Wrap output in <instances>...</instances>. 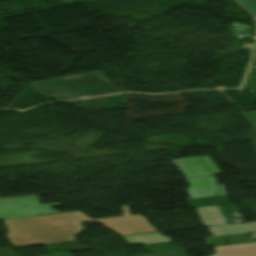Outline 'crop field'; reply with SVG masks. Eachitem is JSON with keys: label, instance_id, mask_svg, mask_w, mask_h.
Returning a JSON list of instances; mask_svg holds the SVG:
<instances>
[{"label": "crop field", "instance_id": "obj_1", "mask_svg": "<svg viewBox=\"0 0 256 256\" xmlns=\"http://www.w3.org/2000/svg\"><path fill=\"white\" fill-rule=\"evenodd\" d=\"M34 86L37 88L42 96L58 101L112 94L118 92L109 83L103 81L77 84L72 79H58L39 82Z\"/></svg>", "mask_w": 256, "mask_h": 256}, {"label": "crop field", "instance_id": "obj_2", "mask_svg": "<svg viewBox=\"0 0 256 256\" xmlns=\"http://www.w3.org/2000/svg\"><path fill=\"white\" fill-rule=\"evenodd\" d=\"M59 203L40 205L36 195L0 199V218L11 219L57 212L50 207ZM35 208V209H33Z\"/></svg>", "mask_w": 256, "mask_h": 256}, {"label": "crop field", "instance_id": "obj_3", "mask_svg": "<svg viewBox=\"0 0 256 256\" xmlns=\"http://www.w3.org/2000/svg\"><path fill=\"white\" fill-rule=\"evenodd\" d=\"M190 188L186 189L190 198L216 195V179L214 176L187 179ZM226 194L224 185H219L217 195Z\"/></svg>", "mask_w": 256, "mask_h": 256}, {"label": "crop field", "instance_id": "obj_4", "mask_svg": "<svg viewBox=\"0 0 256 256\" xmlns=\"http://www.w3.org/2000/svg\"><path fill=\"white\" fill-rule=\"evenodd\" d=\"M173 161L186 177L213 174L200 157L176 159Z\"/></svg>", "mask_w": 256, "mask_h": 256}, {"label": "crop field", "instance_id": "obj_5", "mask_svg": "<svg viewBox=\"0 0 256 256\" xmlns=\"http://www.w3.org/2000/svg\"><path fill=\"white\" fill-rule=\"evenodd\" d=\"M84 106L88 107H103L110 109L120 108V104L126 103L121 94L103 96L91 99L82 100Z\"/></svg>", "mask_w": 256, "mask_h": 256}, {"label": "crop field", "instance_id": "obj_6", "mask_svg": "<svg viewBox=\"0 0 256 256\" xmlns=\"http://www.w3.org/2000/svg\"><path fill=\"white\" fill-rule=\"evenodd\" d=\"M204 226L227 224L218 206L196 209Z\"/></svg>", "mask_w": 256, "mask_h": 256}, {"label": "crop field", "instance_id": "obj_7", "mask_svg": "<svg viewBox=\"0 0 256 256\" xmlns=\"http://www.w3.org/2000/svg\"><path fill=\"white\" fill-rule=\"evenodd\" d=\"M130 245L136 244H146L160 241L170 240L169 237H164L160 234H147V235H137V236H127L123 237Z\"/></svg>", "mask_w": 256, "mask_h": 256}, {"label": "crop field", "instance_id": "obj_8", "mask_svg": "<svg viewBox=\"0 0 256 256\" xmlns=\"http://www.w3.org/2000/svg\"><path fill=\"white\" fill-rule=\"evenodd\" d=\"M226 235L256 231V223L234 224L222 226Z\"/></svg>", "mask_w": 256, "mask_h": 256}, {"label": "crop field", "instance_id": "obj_9", "mask_svg": "<svg viewBox=\"0 0 256 256\" xmlns=\"http://www.w3.org/2000/svg\"><path fill=\"white\" fill-rule=\"evenodd\" d=\"M241 5L250 10L256 16V0H238Z\"/></svg>", "mask_w": 256, "mask_h": 256}, {"label": "crop field", "instance_id": "obj_10", "mask_svg": "<svg viewBox=\"0 0 256 256\" xmlns=\"http://www.w3.org/2000/svg\"><path fill=\"white\" fill-rule=\"evenodd\" d=\"M201 158L208 165V167L213 171L214 174L222 173L207 156L201 157Z\"/></svg>", "mask_w": 256, "mask_h": 256}, {"label": "crop field", "instance_id": "obj_11", "mask_svg": "<svg viewBox=\"0 0 256 256\" xmlns=\"http://www.w3.org/2000/svg\"><path fill=\"white\" fill-rule=\"evenodd\" d=\"M212 236L224 235L220 226L208 227Z\"/></svg>", "mask_w": 256, "mask_h": 256}]
</instances>
